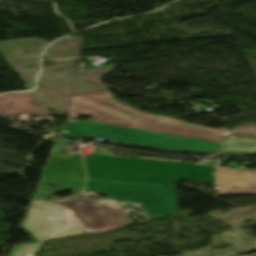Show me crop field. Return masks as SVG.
<instances>
[{"instance_id":"obj_1","label":"crop field","mask_w":256,"mask_h":256,"mask_svg":"<svg viewBox=\"0 0 256 256\" xmlns=\"http://www.w3.org/2000/svg\"><path fill=\"white\" fill-rule=\"evenodd\" d=\"M69 109L92 116L63 127L60 135L69 137L96 136L169 152L219 151L223 138L216 129L148 115L113 99L109 90L75 96Z\"/></svg>"},{"instance_id":"obj_2","label":"crop field","mask_w":256,"mask_h":256,"mask_svg":"<svg viewBox=\"0 0 256 256\" xmlns=\"http://www.w3.org/2000/svg\"><path fill=\"white\" fill-rule=\"evenodd\" d=\"M84 162L85 190L104 193L112 200L137 202L151 219L177 214L176 181L213 184L211 166L97 155Z\"/></svg>"},{"instance_id":"obj_3","label":"crop field","mask_w":256,"mask_h":256,"mask_svg":"<svg viewBox=\"0 0 256 256\" xmlns=\"http://www.w3.org/2000/svg\"><path fill=\"white\" fill-rule=\"evenodd\" d=\"M124 218V210L88 199L63 203L32 200L23 228L39 242L121 228Z\"/></svg>"},{"instance_id":"obj_4","label":"crop field","mask_w":256,"mask_h":256,"mask_svg":"<svg viewBox=\"0 0 256 256\" xmlns=\"http://www.w3.org/2000/svg\"><path fill=\"white\" fill-rule=\"evenodd\" d=\"M71 141L57 139L41 176L36 191L59 192L61 190L82 191L85 173L80 154L61 155L62 150L77 151L78 147L66 146ZM45 181V182H42ZM52 185L55 188L50 189Z\"/></svg>"},{"instance_id":"obj_5","label":"crop field","mask_w":256,"mask_h":256,"mask_svg":"<svg viewBox=\"0 0 256 256\" xmlns=\"http://www.w3.org/2000/svg\"><path fill=\"white\" fill-rule=\"evenodd\" d=\"M215 167V184L221 186L216 195H256V169L233 170Z\"/></svg>"},{"instance_id":"obj_6","label":"crop field","mask_w":256,"mask_h":256,"mask_svg":"<svg viewBox=\"0 0 256 256\" xmlns=\"http://www.w3.org/2000/svg\"><path fill=\"white\" fill-rule=\"evenodd\" d=\"M222 152L256 153V139L231 135L223 142Z\"/></svg>"},{"instance_id":"obj_7","label":"crop field","mask_w":256,"mask_h":256,"mask_svg":"<svg viewBox=\"0 0 256 256\" xmlns=\"http://www.w3.org/2000/svg\"><path fill=\"white\" fill-rule=\"evenodd\" d=\"M45 244L40 242L37 244L23 245L12 249L10 256H34L35 253Z\"/></svg>"}]
</instances>
